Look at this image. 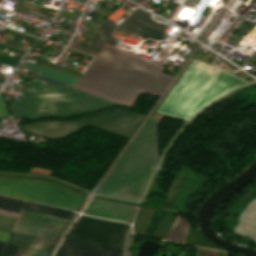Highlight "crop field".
<instances>
[{
	"label": "crop field",
	"instance_id": "1",
	"mask_svg": "<svg viewBox=\"0 0 256 256\" xmlns=\"http://www.w3.org/2000/svg\"><path fill=\"white\" fill-rule=\"evenodd\" d=\"M97 56L74 88L132 107L139 92L160 96L172 77L162 65L107 44L98 52L70 43Z\"/></svg>",
	"mask_w": 256,
	"mask_h": 256
},
{
	"label": "crop field",
	"instance_id": "2",
	"mask_svg": "<svg viewBox=\"0 0 256 256\" xmlns=\"http://www.w3.org/2000/svg\"><path fill=\"white\" fill-rule=\"evenodd\" d=\"M247 83L228 71L192 60L157 112L187 121L220 95Z\"/></svg>",
	"mask_w": 256,
	"mask_h": 256
},
{
	"label": "crop field",
	"instance_id": "3",
	"mask_svg": "<svg viewBox=\"0 0 256 256\" xmlns=\"http://www.w3.org/2000/svg\"><path fill=\"white\" fill-rule=\"evenodd\" d=\"M14 118L44 116L69 117L97 109L116 106L114 102L39 79L25 85L21 100L8 102Z\"/></svg>",
	"mask_w": 256,
	"mask_h": 256
},
{
	"label": "crop field",
	"instance_id": "4",
	"mask_svg": "<svg viewBox=\"0 0 256 256\" xmlns=\"http://www.w3.org/2000/svg\"><path fill=\"white\" fill-rule=\"evenodd\" d=\"M150 119L98 188L103 194L139 199L157 161V126Z\"/></svg>",
	"mask_w": 256,
	"mask_h": 256
},
{
	"label": "crop field",
	"instance_id": "5",
	"mask_svg": "<svg viewBox=\"0 0 256 256\" xmlns=\"http://www.w3.org/2000/svg\"><path fill=\"white\" fill-rule=\"evenodd\" d=\"M125 225L81 216L67 239L122 250ZM66 240L58 256H121L122 251ZM56 255V256H57Z\"/></svg>",
	"mask_w": 256,
	"mask_h": 256
},
{
	"label": "crop field",
	"instance_id": "6",
	"mask_svg": "<svg viewBox=\"0 0 256 256\" xmlns=\"http://www.w3.org/2000/svg\"><path fill=\"white\" fill-rule=\"evenodd\" d=\"M143 117L144 115L134 111L118 109L69 121H38L18 127L28 133L57 139L67 137L89 125L129 138Z\"/></svg>",
	"mask_w": 256,
	"mask_h": 256
},
{
	"label": "crop field",
	"instance_id": "7",
	"mask_svg": "<svg viewBox=\"0 0 256 256\" xmlns=\"http://www.w3.org/2000/svg\"><path fill=\"white\" fill-rule=\"evenodd\" d=\"M0 193L78 210L83 198L49 183L2 179Z\"/></svg>",
	"mask_w": 256,
	"mask_h": 256
},
{
	"label": "crop field",
	"instance_id": "8",
	"mask_svg": "<svg viewBox=\"0 0 256 256\" xmlns=\"http://www.w3.org/2000/svg\"><path fill=\"white\" fill-rule=\"evenodd\" d=\"M166 28L167 26L154 23L149 19L148 14L136 9L120 25H116L106 20L100 27L94 41H89L87 44L100 49L105 42L116 45L119 41L115 40L111 35V33L116 30L138 33L147 37L162 40L165 36L164 31Z\"/></svg>",
	"mask_w": 256,
	"mask_h": 256
},
{
	"label": "crop field",
	"instance_id": "9",
	"mask_svg": "<svg viewBox=\"0 0 256 256\" xmlns=\"http://www.w3.org/2000/svg\"><path fill=\"white\" fill-rule=\"evenodd\" d=\"M67 219L22 210L13 230L57 240Z\"/></svg>",
	"mask_w": 256,
	"mask_h": 256
},
{
	"label": "crop field",
	"instance_id": "10",
	"mask_svg": "<svg viewBox=\"0 0 256 256\" xmlns=\"http://www.w3.org/2000/svg\"><path fill=\"white\" fill-rule=\"evenodd\" d=\"M132 212L133 208L92 201L87 205L83 214L129 221Z\"/></svg>",
	"mask_w": 256,
	"mask_h": 256
},
{
	"label": "crop field",
	"instance_id": "11",
	"mask_svg": "<svg viewBox=\"0 0 256 256\" xmlns=\"http://www.w3.org/2000/svg\"><path fill=\"white\" fill-rule=\"evenodd\" d=\"M8 243L49 251L54 241L13 231Z\"/></svg>",
	"mask_w": 256,
	"mask_h": 256
},
{
	"label": "crop field",
	"instance_id": "12",
	"mask_svg": "<svg viewBox=\"0 0 256 256\" xmlns=\"http://www.w3.org/2000/svg\"><path fill=\"white\" fill-rule=\"evenodd\" d=\"M21 66L37 71L36 75H38V76L48 78V79H51V80H54V81H57L60 83H64V84H67L70 86H73L74 83L77 81V78H74V77H71L68 75H64V74L40 67V66H36V65L27 63L25 61L22 62Z\"/></svg>",
	"mask_w": 256,
	"mask_h": 256
},
{
	"label": "crop field",
	"instance_id": "13",
	"mask_svg": "<svg viewBox=\"0 0 256 256\" xmlns=\"http://www.w3.org/2000/svg\"><path fill=\"white\" fill-rule=\"evenodd\" d=\"M189 226L190 224L181 215H177L166 239L182 243Z\"/></svg>",
	"mask_w": 256,
	"mask_h": 256
},
{
	"label": "crop field",
	"instance_id": "14",
	"mask_svg": "<svg viewBox=\"0 0 256 256\" xmlns=\"http://www.w3.org/2000/svg\"><path fill=\"white\" fill-rule=\"evenodd\" d=\"M22 209L39 212V213H44V214L60 216V217H65L68 219L70 218L71 213H72L70 211L53 208V207H49V206H45V205H40V204L28 202V201H25Z\"/></svg>",
	"mask_w": 256,
	"mask_h": 256
},
{
	"label": "crop field",
	"instance_id": "15",
	"mask_svg": "<svg viewBox=\"0 0 256 256\" xmlns=\"http://www.w3.org/2000/svg\"><path fill=\"white\" fill-rule=\"evenodd\" d=\"M23 201L0 196V209L18 213Z\"/></svg>",
	"mask_w": 256,
	"mask_h": 256
},
{
	"label": "crop field",
	"instance_id": "16",
	"mask_svg": "<svg viewBox=\"0 0 256 256\" xmlns=\"http://www.w3.org/2000/svg\"><path fill=\"white\" fill-rule=\"evenodd\" d=\"M16 219L0 215V231L10 233Z\"/></svg>",
	"mask_w": 256,
	"mask_h": 256
},
{
	"label": "crop field",
	"instance_id": "17",
	"mask_svg": "<svg viewBox=\"0 0 256 256\" xmlns=\"http://www.w3.org/2000/svg\"><path fill=\"white\" fill-rule=\"evenodd\" d=\"M7 106L3 97V94L0 92V118L8 116Z\"/></svg>",
	"mask_w": 256,
	"mask_h": 256
},
{
	"label": "crop field",
	"instance_id": "18",
	"mask_svg": "<svg viewBox=\"0 0 256 256\" xmlns=\"http://www.w3.org/2000/svg\"><path fill=\"white\" fill-rule=\"evenodd\" d=\"M18 246L7 244L2 256H14Z\"/></svg>",
	"mask_w": 256,
	"mask_h": 256
},
{
	"label": "crop field",
	"instance_id": "19",
	"mask_svg": "<svg viewBox=\"0 0 256 256\" xmlns=\"http://www.w3.org/2000/svg\"><path fill=\"white\" fill-rule=\"evenodd\" d=\"M41 66H44L46 68H49V69H52V70H55V71H58V72H61V73H65V74H68V75H71V76H74V77H77L79 78V75H76V74H73V73H70V72H67V71H64L62 69H59V68H56V67H53V66H50V65H46V64H40Z\"/></svg>",
	"mask_w": 256,
	"mask_h": 256
},
{
	"label": "crop field",
	"instance_id": "20",
	"mask_svg": "<svg viewBox=\"0 0 256 256\" xmlns=\"http://www.w3.org/2000/svg\"><path fill=\"white\" fill-rule=\"evenodd\" d=\"M48 253L46 252H42V251H38V250H32L30 256H47Z\"/></svg>",
	"mask_w": 256,
	"mask_h": 256
},
{
	"label": "crop field",
	"instance_id": "21",
	"mask_svg": "<svg viewBox=\"0 0 256 256\" xmlns=\"http://www.w3.org/2000/svg\"><path fill=\"white\" fill-rule=\"evenodd\" d=\"M0 214H1V215H5V216L14 217V218H16L17 215H18V214H16V213L7 212V211H2V210H0Z\"/></svg>",
	"mask_w": 256,
	"mask_h": 256
},
{
	"label": "crop field",
	"instance_id": "22",
	"mask_svg": "<svg viewBox=\"0 0 256 256\" xmlns=\"http://www.w3.org/2000/svg\"><path fill=\"white\" fill-rule=\"evenodd\" d=\"M10 234L0 232V241L6 242Z\"/></svg>",
	"mask_w": 256,
	"mask_h": 256
},
{
	"label": "crop field",
	"instance_id": "23",
	"mask_svg": "<svg viewBox=\"0 0 256 256\" xmlns=\"http://www.w3.org/2000/svg\"><path fill=\"white\" fill-rule=\"evenodd\" d=\"M31 250H32V249L25 248L24 251H23V253H22V256H29Z\"/></svg>",
	"mask_w": 256,
	"mask_h": 256
},
{
	"label": "crop field",
	"instance_id": "24",
	"mask_svg": "<svg viewBox=\"0 0 256 256\" xmlns=\"http://www.w3.org/2000/svg\"><path fill=\"white\" fill-rule=\"evenodd\" d=\"M5 244H6V243H4V242H0V255H1L2 252H3V249H4Z\"/></svg>",
	"mask_w": 256,
	"mask_h": 256
},
{
	"label": "crop field",
	"instance_id": "25",
	"mask_svg": "<svg viewBox=\"0 0 256 256\" xmlns=\"http://www.w3.org/2000/svg\"><path fill=\"white\" fill-rule=\"evenodd\" d=\"M5 80V77L4 76H0V83H3Z\"/></svg>",
	"mask_w": 256,
	"mask_h": 256
}]
</instances>
